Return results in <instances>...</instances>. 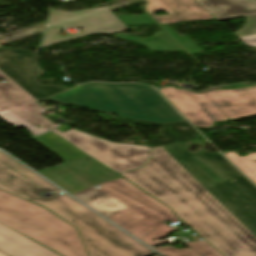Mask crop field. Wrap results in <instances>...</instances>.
I'll return each mask as SVG.
<instances>
[{"label": "crop field", "instance_id": "crop-field-6", "mask_svg": "<svg viewBox=\"0 0 256 256\" xmlns=\"http://www.w3.org/2000/svg\"><path fill=\"white\" fill-rule=\"evenodd\" d=\"M194 126L212 128L215 121H227L256 114V85H233L205 94L174 86L158 90Z\"/></svg>", "mask_w": 256, "mask_h": 256}, {"label": "crop field", "instance_id": "crop-field-22", "mask_svg": "<svg viewBox=\"0 0 256 256\" xmlns=\"http://www.w3.org/2000/svg\"><path fill=\"white\" fill-rule=\"evenodd\" d=\"M1 47V46H0Z\"/></svg>", "mask_w": 256, "mask_h": 256}, {"label": "crop field", "instance_id": "crop-field-19", "mask_svg": "<svg viewBox=\"0 0 256 256\" xmlns=\"http://www.w3.org/2000/svg\"><path fill=\"white\" fill-rule=\"evenodd\" d=\"M170 33L190 54L202 52L187 36L180 37L168 25H161Z\"/></svg>", "mask_w": 256, "mask_h": 256}, {"label": "crop field", "instance_id": "crop-field-3", "mask_svg": "<svg viewBox=\"0 0 256 256\" xmlns=\"http://www.w3.org/2000/svg\"><path fill=\"white\" fill-rule=\"evenodd\" d=\"M0 189L42 205L79 229L90 256H149L153 252L67 195L40 196L59 189L0 152Z\"/></svg>", "mask_w": 256, "mask_h": 256}, {"label": "crop field", "instance_id": "crop-field-4", "mask_svg": "<svg viewBox=\"0 0 256 256\" xmlns=\"http://www.w3.org/2000/svg\"><path fill=\"white\" fill-rule=\"evenodd\" d=\"M44 101L164 124L185 121L151 86L139 84L89 83Z\"/></svg>", "mask_w": 256, "mask_h": 256}, {"label": "crop field", "instance_id": "crop-field-2", "mask_svg": "<svg viewBox=\"0 0 256 256\" xmlns=\"http://www.w3.org/2000/svg\"><path fill=\"white\" fill-rule=\"evenodd\" d=\"M37 172L148 246L176 230L164 224L176 218L167 206L89 157Z\"/></svg>", "mask_w": 256, "mask_h": 256}, {"label": "crop field", "instance_id": "crop-field-8", "mask_svg": "<svg viewBox=\"0 0 256 256\" xmlns=\"http://www.w3.org/2000/svg\"><path fill=\"white\" fill-rule=\"evenodd\" d=\"M49 25L59 27L81 26L83 29L77 34L62 37L59 35L62 31L61 28L49 27L41 48L80 38L90 33L107 34L128 29L127 26H125L107 7L86 9L76 12H63L52 9Z\"/></svg>", "mask_w": 256, "mask_h": 256}, {"label": "crop field", "instance_id": "crop-field-11", "mask_svg": "<svg viewBox=\"0 0 256 256\" xmlns=\"http://www.w3.org/2000/svg\"><path fill=\"white\" fill-rule=\"evenodd\" d=\"M148 5L144 9L159 23L170 24L185 20L213 19L195 0H146ZM164 10L169 15L155 16L152 12Z\"/></svg>", "mask_w": 256, "mask_h": 256}, {"label": "crop field", "instance_id": "crop-field-17", "mask_svg": "<svg viewBox=\"0 0 256 256\" xmlns=\"http://www.w3.org/2000/svg\"><path fill=\"white\" fill-rule=\"evenodd\" d=\"M225 155L237 165L254 183H256V152L241 157L234 152H224Z\"/></svg>", "mask_w": 256, "mask_h": 256}, {"label": "crop field", "instance_id": "crop-field-12", "mask_svg": "<svg viewBox=\"0 0 256 256\" xmlns=\"http://www.w3.org/2000/svg\"><path fill=\"white\" fill-rule=\"evenodd\" d=\"M0 250L11 256H59L0 223Z\"/></svg>", "mask_w": 256, "mask_h": 256}, {"label": "crop field", "instance_id": "crop-field-13", "mask_svg": "<svg viewBox=\"0 0 256 256\" xmlns=\"http://www.w3.org/2000/svg\"><path fill=\"white\" fill-rule=\"evenodd\" d=\"M217 20L256 14L254 0H197Z\"/></svg>", "mask_w": 256, "mask_h": 256}, {"label": "crop field", "instance_id": "crop-field-1", "mask_svg": "<svg viewBox=\"0 0 256 256\" xmlns=\"http://www.w3.org/2000/svg\"><path fill=\"white\" fill-rule=\"evenodd\" d=\"M190 147L152 148L145 167L122 175L226 256H256V187L221 154Z\"/></svg>", "mask_w": 256, "mask_h": 256}, {"label": "crop field", "instance_id": "crop-field-5", "mask_svg": "<svg viewBox=\"0 0 256 256\" xmlns=\"http://www.w3.org/2000/svg\"><path fill=\"white\" fill-rule=\"evenodd\" d=\"M0 222L64 256H88L76 228L45 208L2 190Z\"/></svg>", "mask_w": 256, "mask_h": 256}, {"label": "crop field", "instance_id": "crop-field-16", "mask_svg": "<svg viewBox=\"0 0 256 256\" xmlns=\"http://www.w3.org/2000/svg\"><path fill=\"white\" fill-rule=\"evenodd\" d=\"M113 36L144 44L152 51L184 52L165 32L159 33L147 39L138 38L124 33Z\"/></svg>", "mask_w": 256, "mask_h": 256}, {"label": "crop field", "instance_id": "crop-field-20", "mask_svg": "<svg viewBox=\"0 0 256 256\" xmlns=\"http://www.w3.org/2000/svg\"><path fill=\"white\" fill-rule=\"evenodd\" d=\"M125 25L134 26V25H145L155 23L147 15L144 16H134V15H121L118 16Z\"/></svg>", "mask_w": 256, "mask_h": 256}, {"label": "crop field", "instance_id": "crop-field-7", "mask_svg": "<svg viewBox=\"0 0 256 256\" xmlns=\"http://www.w3.org/2000/svg\"><path fill=\"white\" fill-rule=\"evenodd\" d=\"M53 132L119 173L145 166L151 151L150 147L111 143L73 128L64 133L57 129Z\"/></svg>", "mask_w": 256, "mask_h": 256}, {"label": "crop field", "instance_id": "crop-field-14", "mask_svg": "<svg viewBox=\"0 0 256 256\" xmlns=\"http://www.w3.org/2000/svg\"><path fill=\"white\" fill-rule=\"evenodd\" d=\"M39 143L40 145L46 147L55 155L60 157L64 161H70L75 158L87 156L83 152L74 148L69 143L63 141L61 138L53 133H48L39 137L32 139Z\"/></svg>", "mask_w": 256, "mask_h": 256}, {"label": "crop field", "instance_id": "crop-field-15", "mask_svg": "<svg viewBox=\"0 0 256 256\" xmlns=\"http://www.w3.org/2000/svg\"><path fill=\"white\" fill-rule=\"evenodd\" d=\"M185 244L193 249L185 248L178 250L174 245L155 247L153 249L164 256H223L205 240L187 242Z\"/></svg>", "mask_w": 256, "mask_h": 256}, {"label": "crop field", "instance_id": "crop-field-18", "mask_svg": "<svg viewBox=\"0 0 256 256\" xmlns=\"http://www.w3.org/2000/svg\"><path fill=\"white\" fill-rule=\"evenodd\" d=\"M235 34L247 46L256 47V15L247 16L245 25Z\"/></svg>", "mask_w": 256, "mask_h": 256}, {"label": "crop field", "instance_id": "crop-field-9", "mask_svg": "<svg viewBox=\"0 0 256 256\" xmlns=\"http://www.w3.org/2000/svg\"><path fill=\"white\" fill-rule=\"evenodd\" d=\"M0 72V79H5ZM12 81L0 83V118L14 127H23L37 136L56 125L41 115L43 108ZM40 125L38 129L35 126Z\"/></svg>", "mask_w": 256, "mask_h": 256}, {"label": "crop field", "instance_id": "crop-field-10", "mask_svg": "<svg viewBox=\"0 0 256 256\" xmlns=\"http://www.w3.org/2000/svg\"><path fill=\"white\" fill-rule=\"evenodd\" d=\"M37 65L31 51L0 49V71L36 100L66 89L63 86H42L38 83L35 78L43 72L38 69Z\"/></svg>", "mask_w": 256, "mask_h": 256}, {"label": "crop field", "instance_id": "crop-field-21", "mask_svg": "<svg viewBox=\"0 0 256 256\" xmlns=\"http://www.w3.org/2000/svg\"><path fill=\"white\" fill-rule=\"evenodd\" d=\"M0 256H5L4 254L0 253Z\"/></svg>", "mask_w": 256, "mask_h": 256}]
</instances>
